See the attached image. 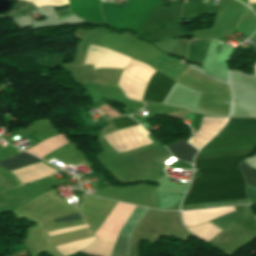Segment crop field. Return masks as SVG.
Listing matches in <instances>:
<instances>
[{
    "label": "crop field",
    "mask_w": 256,
    "mask_h": 256,
    "mask_svg": "<svg viewBox=\"0 0 256 256\" xmlns=\"http://www.w3.org/2000/svg\"><path fill=\"white\" fill-rule=\"evenodd\" d=\"M249 155L194 160L203 178L193 179L182 205L247 198L238 164Z\"/></svg>",
    "instance_id": "1"
},
{
    "label": "crop field",
    "mask_w": 256,
    "mask_h": 256,
    "mask_svg": "<svg viewBox=\"0 0 256 256\" xmlns=\"http://www.w3.org/2000/svg\"><path fill=\"white\" fill-rule=\"evenodd\" d=\"M255 136L256 119L230 118L226 126L212 140ZM255 147L256 137L210 141L198 152L195 159L252 153Z\"/></svg>",
    "instance_id": "2"
},
{
    "label": "crop field",
    "mask_w": 256,
    "mask_h": 256,
    "mask_svg": "<svg viewBox=\"0 0 256 256\" xmlns=\"http://www.w3.org/2000/svg\"><path fill=\"white\" fill-rule=\"evenodd\" d=\"M121 206H122L121 203L117 204V206L113 209V211L106 218V220L103 222V224L99 227V229L96 231L94 235L99 237V235L102 233V231L105 229V227L108 225L110 220L113 218V216L116 214V212L119 210ZM134 209H135L134 206L123 204V206L114 216V218L106 227V229L103 231V233L100 235V237L115 241L122 225L124 224V222L127 220V218L129 217V215L132 213ZM142 210L143 208L136 207V209L133 211L131 216L123 225L118 237L127 238V239L130 238L132 227L135 225L138 219L143 215L141 214ZM127 246H128V240L118 238L115 243L111 256H127Z\"/></svg>",
    "instance_id": "3"
},
{
    "label": "crop field",
    "mask_w": 256,
    "mask_h": 256,
    "mask_svg": "<svg viewBox=\"0 0 256 256\" xmlns=\"http://www.w3.org/2000/svg\"><path fill=\"white\" fill-rule=\"evenodd\" d=\"M234 210V207L221 208V209H208V210H195L182 212L184 225L195 226L208 220L220 216L224 213ZM240 217L239 213L234 210L220 217L210 220L213 224L217 225L222 230L228 226L234 219Z\"/></svg>",
    "instance_id": "4"
},
{
    "label": "crop field",
    "mask_w": 256,
    "mask_h": 256,
    "mask_svg": "<svg viewBox=\"0 0 256 256\" xmlns=\"http://www.w3.org/2000/svg\"><path fill=\"white\" fill-rule=\"evenodd\" d=\"M131 58L117 52L91 45L86 53L84 64H93L97 68H121L127 67Z\"/></svg>",
    "instance_id": "5"
},
{
    "label": "crop field",
    "mask_w": 256,
    "mask_h": 256,
    "mask_svg": "<svg viewBox=\"0 0 256 256\" xmlns=\"http://www.w3.org/2000/svg\"><path fill=\"white\" fill-rule=\"evenodd\" d=\"M175 82L156 72L152 76L144 94V100L162 102ZM167 96V95H166ZM165 99V98H164Z\"/></svg>",
    "instance_id": "6"
},
{
    "label": "crop field",
    "mask_w": 256,
    "mask_h": 256,
    "mask_svg": "<svg viewBox=\"0 0 256 256\" xmlns=\"http://www.w3.org/2000/svg\"><path fill=\"white\" fill-rule=\"evenodd\" d=\"M167 149L171 152L173 156L177 159H182L186 162L192 164V159L194 158L197 150L190 146L183 140H178L167 146Z\"/></svg>",
    "instance_id": "7"
},
{
    "label": "crop field",
    "mask_w": 256,
    "mask_h": 256,
    "mask_svg": "<svg viewBox=\"0 0 256 256\" xmlns=\"http://www.w3.org/2000/svg\"><path fill=\"white\" fill-rule=\"evenodd\" d=\"M37 161H41L35 157H32L26 153L19 154L13 157H10L6 160L0 161V166L5 168L6 170H11L14 168H18L27 164H31Z\"/></svg>",
    "instance_id": "8"
},
{
    "label": "crop field",
    "mask_w": 256,
    "mask_h": 256,
    "mask_svg": "<svg viewBox=\"0 0 256 256\" xmlns=\"http://www.w3.org/2000/svg\"><path fill=\"white\" fill-rule=\"evenodd\" d=\"M189 230L192 233H194L197 236V238H199L205 242L210 240L213 236H215L218 232L221 231L218 228H216L214 225H212L211 223L201 224V225L195 226L193 228H189Z\"/></svg>",
    "instance_id": "9"
},
{
    "label": "crop field",
    "mask_w": 256,
    "mask_h": 256,
    "mask_svg": "<svg viewBox=\"0 0 256 256\" xmlns=\"http://www.w3.org/2000/svg\"><path fill=\"white\" fill-rule=\"evenodd\" d=\"M184 194L156 193L159 208L166 209L179 204Z\"/></svg>",
    "instance_id": "10"
},
{
    "label": "crop field",
    "mask_w": 256,
    "mask_h": 256,
    "mask_svg": "<svg viewBox=\"0 0 256 256\" xmlns=\"http://www.w3.org/2000/svg\"><path fill=\"white\" fill-rule=\"evenodd\" d=\"M25 1H29L37 7L44 6V5L63 6L65 4H67V0H25ZM25 1L19 0L18 3L16 4L15 8L11 12H9L6 15V17L10 16L12 13L19 10L23 6L27 5L28 2H25Z\"/></svg>",
    "instance_id": "11"
},
{
    "label": "crop field",
    "mask_w": 256,
    "mask_h": 256,
    "mask_svg": "<svg viewBox=\"0 0 256 256\" xmlns=\"http://www.w3.org/2000/svg\"><path fill=\"white\" fill-rule=\"evenodd\" d=\"M240 170L242 171L247 183L256 185V171L249 168L244 161L240 164Z\"/></svg>",
    "instance_id": "12"
},
{
    "label": "crop field",
    "mask_w": 256,
    "mask_h": 256,
    "mask_svg": "<svg viewBox=\"0 0 256 256\" xmlns=\"http://www.w3.org/2000/svg\"><path fill=\"white\" fill-rule=\"evenodd\" d=\"M248 203H249L248 199H243V200L203 203V204H198V206L199 208H203V207L229 206V205H235V204H248Z\"/></svg>",
    "instance_id": "13"
},
{
    "label": "crop field",
    "mask_w": 256,
    "mask_h": 256,
    "mask_svg": "<svg viewBox=\"0 0 256 256\" xmlns=\"http://www.w3.org/2000/svg\"><path fill=\"white\" fill-rule=\"evenodd\" d=\"M111 121L114 123L117 129L137 124V122L133 121L128 116L113 118Z\"/></svg>",
    "instance_id": "14"
},
{
    "label": "crop field",
    "mask_w": 256,
    "mask_h": 256,
    "mask_svg": "<svg viewBox=\"0 0 256 256\" xmlns=\"http://www.w3.org/2000/svg\"><path fill=\"white\" fill-rule=\"evenodd\" d=\"M81 219H82V217L79 215V213H77V214L65 216L62 218L54 219L53 221H54V223H56V222L77 221V220H81Z\"/></svg>",
    "instance_id": "15"
},
{
    "label": "crop field",
    "mask_w": 256,
    "mask_h": 256,
    "mask_svg": "<svg viewBox=\"0 0 256 256\" xmlns=\"http://www.w3.org/2000/svg\"><path fill=\"white\" fill-rule=\"evenodd\" d=\"M247 194L249 196L250 203H256V187L247 185Z\"/></svg>",
    "instance_id": "16"
},
{
    "label": "crop field",
    "mask_w": 256,
    "mask_h": 256,
    "mask_svg": "<svg viewBox=\"0 0 256 256\" xmlns=\"http://www.w3.org/2000/svg\"><path fill=\"white\" fill-rule=\"evenodd\" d=\"M99 109L104 110L106 115L110 116V117H114V116H119L122 115L119 112H117L116 110L112 109L109 106L106 107H100Z\"/></svg>",
    "instance_id": "17"
},
{
    "label": "crop field",
    "mask_w": 256,
    "mask_h": 256,
    "mask_svg": "<svg viewBox=\"0 0 256 256\" xmlns=\"http://www.w3.org/2000/svg\"><path fill=\"white\" fill-rule=\"evenodd\" d=\"M55 11L57 10H62V9H66L68 8V5L67 6H63V7H53Z\"/></svg>",
    "instance_id": "18"
},
{
    "label": "crop field",
    "mask_w": 256,
    "mask_h": 256,
    "mask_svg": "<svg viewBox=\"0 0 256 256\" xmlns=\"http://www.w3.org/2000/svg\"><path fill=\"white\" fill-rule=\"evenodd\" d=\"M98 238V237H97ZM98 239H101L102 240V238H98Z\"/></svg>",
    "instance_id": "19"
},
{
    "label": "crop field",
    "mask_w": 256,
    "mask_h": 256,
    "mask_svg": "<svg viewBox=\"0 0 256 256\" xmlns=\"http://www.w3.org/2000/svg\"><path fill=\"white\" fill-rule=\"evenodd\" d=\"M211 41H215V40H211Z\"/></svg>",
    "instance_id": "20"
},
{
    "label": "crop field",
    "mask_w": 256,
    "mask_h": 256,
    "mask_svg": "<svg viewBox=\"0 0 256 256\" xmlns=\"http://www.w3.org/2000/svg\"><path fill=\"white\" fill-rule=\"evenodd\" d=\"M256 13V12H255Z\"/></svg>",
    "instance_id": "21"
}]
</instances>
